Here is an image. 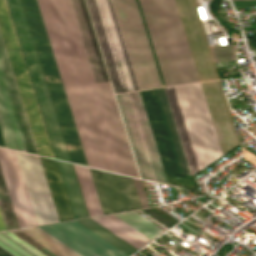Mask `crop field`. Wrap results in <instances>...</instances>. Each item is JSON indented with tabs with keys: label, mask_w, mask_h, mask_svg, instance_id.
<instances>
[{
	"label": "crop field",
	"mask_w": 256,
	"mask_h": 256,
	"mask_svg": "<svg viewBox=\"0 0 256 256\" xmlns=\"http://www.w3.org/2000/svg\"><path fill=\"white\" fill-rule=\"evenodd\" d=\"M89 169L104 214L141 208L132 178Z\"/></svg>",
	"instance_id": "obj_11"
},
{
	"label": "crop field",
	"mask_w": 256,
	"mask_h": 256,
	"mask_svg": "<svg viewBox=\"0 0 256 256\" xmlns=\"http://www.w3.org/2000/svg\"><path fill=\"white\" fill-rule=\"evenodd\" d=\"M55 157L70 161L21 0H7ZM71 162V161H70Z\"/></svg>",
	"instance_id": "obj_6"
},
{
	"label": "crop field",
	"mask_w": 256,
	"mask_h": 256,
	"mask_svg": "<svg viewBox=\"0 0 256 256\" xmlns=\"http://www.w3.org/2000/svg\"><path fill=\"white\" fill-rule=\"evenodd\" d=\"M0 256H11V255H9L8 253L0 249Z\"/></svg>",
	"instance_id": "obj_32"
},
{
	"label": "crop field",
	"mask_w": 256,
	"mask_h": 256,
	"mask_svg": "<svg viewBox=\"0 0 256 256\" xmlns=\"http://www.w3.org/2000/svg\"><path fill=\"white\" fill-rule=\"evenodd\" d=\"M42 256H76L34 228L7 231ZM5 232L0 233V248L12 256H40Z\"/></svg>",
	"instance_id": "obj_15"
},
{
	"label": "crop field",
	"mask_w": 256,
	"mask_h": 256,
	"mask_svg": "<svg viewBox=\"0 0 256 256\" xmlns=\"http://www.w3.org/2000/svg\"><path fill=\"white\" fill-rule=\"evenodd\" d=\"M115 216L151 240L164 232L135 211L115 214Z\"/></svg>",
	"instance_id": "obj_25"
},
{
	"label": "crop field",
	"mask_w": 256,
	"mask_h": 256,
	"mask_svg": "<svg viewBox=\"0 0 256 256\" xmlns=\"http://www.w3.org/2000/svg\"><path fill=\"white\" fill-rule=\"evenodd\" d=\"M166 86L200 81L174 0H139Z\"/></svg>",
	"instance_id": "obj_2"
},
{
	"label": "crop field",
	"mask_w": 256,
	"mask_h": 256,
	"mask_svg": "<svg viewBox=\"0 0 256 256\" xmlns=\"http://www.w3.org/2000/svg\"><path fill=\"white\" fill-rule=\"evenodd\" d=\"M92 219L137 250L151 241L113 215L93 217Z\"/></svg>",
	"instance_id": "obj_21"
},
{
	"label": "crop field",
	"mask_w": 256,
	"mask_h": 256,
	"mask_svg": "<svg viewBox=\"0 0 256 256\" xmlns=\"http://www.w3.org/2000/svg\"><path fill=\"white\" fill-rule=\"evenodd\" d=\"M199 170L222 155L200 83L174 87ZM173 87L164 88L191 176L199 172Z\"/></svg>",
	"instance_id": "obj_3"
},
{
	"label": "crop field",
	"mask_w": 256,
	"mask_h": 256,
	"mask_svg": "<svg viewBox=\"0 0 256 256\" xmlns=\"http://www.w3.org/2000/svg\"><path fill=\"white\" fill-rule=\"evenodd\" d=\"M133 179H134L136 190H137V193H138V196H139L141 207L142 208L150 207L148 202H147V199H146V195H145V192H144L142 181L139 180V179H135V178H133Z\"/></svg>",
	"instance_id": "obj_29"
},
{
	"label": "crop field",
	"mask_w": 256,
	"mask_h": 256,
	"mask_svg": "<svg viewBox=\"0 0 256 256\" xmlns=\"http://www.w3.org/2000/svg\"><path fill=\"white\" fill-rule=\"evenodd\" d=\"M144 211L147 212L148 214H150L151 216H153L154 218H156L158 221H160L161 223H163L164 225H166L169 228L174 225L150 209H145Z\"/></svg>",
	"instance_id": "obj_30"
},
{
	"label": "crop field",
	"mask_w": 256,
	"mask_h": 256,
	"mask_svg": "<svg viewBox=\"0 0 256 256\" xmlns=\"http://www.w3.org/2000/svg\"><path fill=\"white\" fill-rule=\"evenodd\" d=\"M0 33L37 153L55 158L6 0H0Z\"/></svg>",
	"instance_id": "obj_5"
},
{
	"label": "crop field",
	"mask_w": 256,
	"mask_h": 256,
	"mask_svg": "<svg viewBox=\"0 0 256 256\" xmlns=\"http://www.w3.org/2000/svg\"><path fill=\"white\" fill-rule=\"evenodd\" d=\"M65 142L74 163L87 165L36 0H22Z\"/></svg>",
	"instance_id": "obj_4"
},
{
	"label": "crop field",
	"mask_w": 256,
	"mask_h": 256,
	"mask_svg": "<svg viewBox=\"0 0 256 256\" xmlns=\"http://www.w3.org/2000/svg\"><path fill=\"white\" fill-rule=\"evenodd\" d=\"M127 91L138 90L110 0H99Z\"/></svg>",
	"instance_id": "obj_19"
},
{
	"label": "crop field",
	"mask_w": 256,
	"mask_h": 256,
	"mask_svg": "<svg viewBox=\"0 0 256 256\" xmlns=\"http://www.w3.org/2000/svg\"><path fill=\"white\" fill-rule=\"evenodd\" d=\"M140 176L167 183L140 93L116 96Z\"/></svg>",
	"instance_id": "obj_8"
},
{
	"label": "crop field",
	"mask_w": 256,
	"mask_h": 256,
	"mask_svg": "<svg viewBox=\"0 0 256 256\" xmlns=\"http://www.w3.org/2000/svg\"><path fill=\"white\" fill-rule=\"evenodd\" d=\"M169 184L176 185L171 175H182L166 126L156 90L140 92Z\"/></svg>",
	"instance_id": "obj_13"
},
{
	"label": "crop field",
	"mask_w": 256,
	"mask_h": 256,
	"mask_svg": "<svg viewBox=\"0 0 256 256\" xmlns=\"http://www.w3.org/2000/svg\"><path fill=\"white\" fill-rule=\"evenodd\" d=\"M40 157L47 184L51 193L54 207L59 221L74 219L65 193V189L58 171L56 161Z\"/></svg>",
	"instance_id": "obj_20"
},
{
	"label": "crop field",
	"mask_w": 256,
	"mask_h": 256,
	"mask_svg": "<svg viewBox=\"0 0 256 256\" xmlns=\"http://www.w3.org/2000/svg\"><path fill=\"white\" fill-rule=\"evenodd\" d=\"M37 228L78 256H126L75 221Z\"/></svg>",
	"instance_id": "obj_10"
},
{
	"label": "crop field",
	"mask_w": 256,
	"mask_h": 256,
	"mask_svg": "<svg viewBox=\"0 0 256 256\" xmlns=\"http://www.w3.org/2000/svg\"><path fill=\"white\" fill-rule=\"evenodd\" d=\"M74 165V164H73ZM84 202L89 216L103 214L92 182L89 169L74 165Z\"/></svg>",
	"instance_id": "obj_23"
},
{
	"label": "crop field",
	"mask_w": 256,
	"mask_h": 256,
	"mask_svg": "<svg viewBox=\"0 0 256 256\" xmlns=\"http://www.w3.org/2000/svg\"><path fill=\"white\" fill-rule=\"evenodd\" d=\"M17 155L38 224L41 225L58 221L39 158L21 152H17Z\"/></svg>",
	"instance_id": "obj_14"
},
{
	"label": "crop field",
	"mask_w": 256,
	"mask_h": 256,
	"mask_svg": "<svg viewBox=\"0 0 256 256\" xmlns=\"http://www.w3.org/2000/svg\"><path fill=\"white\" fill-rule=\"evenodd\" d=\"M138 88L162 87L136 0H111Z\"/></svg>",
	"instance_id": "obj_7"
},
{
	"label": "crop field",
	"mask_w": 256,
	"mask_h": 256,
	"mask_svg": "<svg viewBox=\"0 0 256 256\" xmlns=\"http://www.w3.org/2000/svg\"><path fill=\"white\" fill-rule=\"evenodd\" d=\"M0 213L6 230L19 228L0 169Z\"/></svg>",
	"instance_id": "obj_27"
},
{
	"label": "crop field",
	"mask_w": 256,
	"mask_h": 256,
	"mask_svg": "<svg viewBox=\"0 0 256 256\" xmlns=\"http://www.w3.org/2000/svg\"><path fill=\"white\" fill-rule=\"evenodd\" d=\"M156 90H157L158 97H159V100H160V103H161V106L163 109V113H164V116H165V119L167 122L168 129H169V132H170V135L172 138V142H173V145H174V148L176 151V155H177L180 167H181L182 174L190 175L185 158H184V154H183V151H182V148L180 145V141H179V138L177 135V131H176V128H175V125L173 122V118H172V115H171V112L169 109V105H168V102H167V99L165 96L164 89L161 88V89H156Z\"/></svg>",
	"instance_id": "obj_24"
},
{
	"label": "crop field",
	"mask_w": 256,
	"mask_h": 256,
	"mask_svg": "<svg viewBox=\"0 0 256 256\" xmlns=\"http://www.w3.org/2000/svg\"><path fill=\"white\" fill-rule=\"evenodd\" d=\"M0 127L7 147L37 154L1 37Z\"/></svg>",
	"instance_id": "obj_9"
},
{
	"label": "crop field",
	"mask_w": 256,
	"mask_h": 256,
	"mask_svg": "<svg viewBox=\"0 0 256 256\" xmlns=\"http://www.w3.org/2000/svg\"><path fill=\"white\" fill-rule=\"evenodd\" d=\"M95 82L109 81L84 0H70Z\"/></svg>",
	"instance_id": "obj_17"
},
{
	"label": "crop field",
	"mask_w": 256,
	"mask_h": 256,
	"mask_svg": "<svg viewBox=\"0 0 256 256\" xmlns=\"http://www.w3.org/2000/svg\"><path fill=\"white\" fill-rule=\"evenodd\" d=\"M58 161V160H57ZM70 205L75 219L88 217L80 190L70 163L58 161Z\"/></svg>",
	"instance_id": "obj_22"
},
{
	"label": "crop field",
	"mask_w": 256,
	"mask_h": 256,
	"mask_svg": "<svg viewBox=\"0 0 256 256\" xmlns=\"http://www.w3.org/2000/svg\"><path fill=\"white\" fill-rule=\"evenodd\" d=\"M77 222L128 256L136 251L133 248H131L130 246H128L126 243H124L123 241H121L120 239H118L117 237L112 235L110 232H108L107 230H105L104 228H102L101 226L96 224L94 221H92L89 218L77 220Z\"/></svg>",
	"instance_id": "obj_26"
},
{
	"label": "crop field",
	"mask_w": 256,
	"mask_h": 256,
	"mask_svg": "<svg viewBox=\"0 0 256 256\" xmlns=\"http://www.w3.org/2000/svg\"><path fill=\"white\" fill-rule=\"evenodd\" d=\"M2 230H5V229H4L3 222H2V219L0 216V231H2Z\"/></svg>",
	"instance_id": "obj_33"
},
{
	"label": "crop field",
	"mask_w": 256,
	"mask_h": 256,
	"mask_svg": "<svg viewBox=\"0 0 256 256\" xmlns=\"http://www.w3.org/2000/svg\"><path fill=\"white\" fill-rule=\"evenodd\" d=\"M235 45L211 48L215 62L235 59Z\"/></svg>",
	"instance_id": "obj_28"
},
{
	"label": "crop field",
	"mask_w": 256,
	"mask_h": 256,
	"mask_svg": "<svg viewBox=\"0 0 256 256\" xmlns=\"http://www.w3.org/2000/svg\"><path fill=\"white\" fill-rule=\"evenodd\" d=\"M16 152L0 148V166L20 228L38 225Z\"/></svg>",
	"instance_id": "obj_12"
},
{
	"label": "crop field",
	"mask_w": 256,
	"mask_h": 256,
	"mask_svg": "<svg viewBox=\"0 0 256 256\" xmlns=\"http://www.w3.org/2000/svg\"><path fill=\"white\" fill-rule=\"evenodd\" d=\"M124 174L139 177L109 82L96 84Z\"/></svg>",
	"instance_id": "obj_16"
},
{
	"label": "crop field",
	"mask_w": 256,
	"mask_h": 256,
	"mask_svg": "<svg viewBox=\"0 0 256 256\" xmlns=\"http://www.w3.org/2000/svg\"><path fill=\"white\" fill-rule=\"evenodd\" d=\"M115 93L125 87L98 0H86Z\"/></svg>",
	"instance_id": "obj_18"
},
{
	"label": "crop field",
	"mask_w": 256,
	"mask_h": 256,
	"mask_svg": "<svg viewBox=\"0 0 256 256\" xmlns=\"http://www.w3.org/2000/svg\"><path fill=\"white\" fill-rule=\"evenodd\" d=\"M46 1L48 4V7H49V11H50L53 23H54V27H55V30H56V33H57V36L59 39V43H60L64 58H65V62H66V65H67V68H68V71L70 74V78H71V81H72V84H73V87L75 90V94H76V97H77V100H78V103H79V106L81 109V113H82V116H83V119H84V122L86 125V129H87L90 141H91V145H92L95 157H96L98 167L101 169L113 171L107 151H106V147H105L102 135H101V131H100L97 119H96V115H95V112H94V109L92 106V102H91V99H90V96H89V93L87 90V86H86V83H85V80H84V77L82 74V70H81V67H80V64H79V61L77 58V54H76V51H75V48L73 45V41H72L69 29H68V25H67L64 13H63V9H62L60 0H46ZM62 3L64 6V9H65V13H66L69 25H70V29H71L74 41H75V45H76V48H77V51L79 54V58H80V61H81V64H82V67L84 70V74H85V77H86V80H87V83L89 86V90H90V93H91V96H92V99L94 102V106H95V109H96V112L98 115V119H99V122H100V125L102 128V131H103V135H104L107 147H108V151H109L112 163H113L114 170L122 173L121 166H120V163H119V160L117 157V153H116V150H115L108 126H107V122H106L102 107H101L102 106L101 101H100V98H99V95L97 92V88H96V85H95V82L93 79V75H92V72H91V69H90V66L88 63V59H87V56H86V53H85V50L83 47V43H82L79 31H78V27H77V24H76L74 15H73V11H72L70 2H69V0H62ZM38 4L40 7L42 16H43V20H44V23H45V26H46V29L48 32V36H49V39H50V42H51V45L53 48V52H54V55H55V58H56V61L58 64L59 71H60V74H61V77L63 80V84H64V87L66 90V94H67V97L69 100L72 114H73L75 123L78 128V132H79V135H80V138L82 141V145H83L86 157H87L88 164L91 166L97 167L90 144H89V140H88L85 128H84V124H83V121H82V118H81V115L79 112V108H78V105H77V102H76V99H75V96L73 93V89H72V86H71V83H70V80L68 77V73H67L64 61H63V57H62V54H61V51H60V48H59V45L57 42V38H56L54 29L52 26V22H51V19H50L48 10H47L45 0H38Z\"/></svg>",
	"instance_id": "obj_1"
},
{
	"label": "crop field",
	"mask_w": 256,
	"mask_h": 256,
	"mask_svg": "<svg viewBox=\"0 0 256 256\" xmlns=\"http://www.w3.org/2000/svg\"><path fill=\"white\" fill-rule=\"evenodd\" d=\"M236 7L256 5V0H233Z\"/></svg>",
	"instance_id": "obj_31"
}]
</instances>
